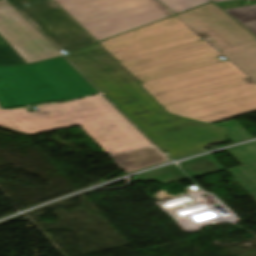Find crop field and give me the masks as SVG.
<instances>
[{
	"mask_svg": "<svg viewBox=\"0 0 256 256\" xmlns=\"http://www.w3.org/2000/svg\"><path fill=\"white\" fill-rule=\"evenodd\" d=\"M214 2H219V1H226V0H213Z\"/></svg>",
	"mask_w": 256,
	"mask_h": 256,
	"instance_id": "dafd665d",
	"label": "crop field"
},
{
	"mask_svg": "<svg viewBox=\"0 0 256 256\" xmlns=\"http://www.w3.org/2000/svg\"><path fill=\"white\" fill-rule=\"evenodd\" d=\"M100 44L163 107L255 83L174 16Z\"/></svg>",
	"mask_w": 256,
	"mask_h": 256,
	"instance_id": "8a807250",
	"label": "crop field"
},
{
	"mask_svg": "<svg viewBox=\"0 0 256 256\" xmlns=\"http://www.w3.org/2000/svg\"><path fill=\"white\" fill-rule=\"evenodd\" d=\"M217 126L227 128V137L233 143L252 138L235 120Z\"/></svg>",
	"mask_w": 256,
	"mask_h": 256,
	"instance_id": "214f88e0",
	"label": "crop field"
},
{
	"mask_svg": "<svg viewBox=\"0 0 256 256\" xmlns=\"http://www.w3.org/2000/svg\"><path fill=\"white\" fill-rule=\"evenodd\" d=\"M98 41L172 14L156 0H55Z\"/></svg>",
	"mask_w": 256,
	"mask_h": 256,
	"instance_id": "412701ff",
	"label": "crop field"
},
{
	"mask_svg": "<svg viewBox=\"0 0 256 256\" xmlns=\"http://www.w3.org/2000/svg\"><path fill=\"white\" fill-rule=\"evenodd\" d=\"M228 172L256 200V164L229 170Z\"/></svg>",
	"mask_w": 256,
	"mask_h": 256,
	"instance_id": "5142ce71",
	"label": "crop field"
},
{
	"mask_svg": "<svg viewBox=\"0 0 256 256\" xmlns=\"http://www.w3.org/2000/svg\"><path fill=\"white\" fill-rule=\"evenodd\" d=\"M173 114L212 123L256 112V84L165 107Z\"/></svg>",
	"mask_w": 256,
	"mask_h": 256,
	"instance_id": "dd49c442",
	"label": "crop field"
},
{
	"mask_svg": "<svg viewBox=\"0 0 256 256\" xmlns=\"http://www.w3.org/2000/svg\"><path fill=\"white\" fill-rule=\"evenodd\" d=\"M242 166L256 163V143L227 150Z\"/></svg>",
	"mask_w": 256,
	"mask_h": 256,
	"instance_id": "4a817a6b",
	"label": "crop field"
},
{
	"mask_svg": "<svg viewBox=\"0 0 256 256\" xmlns=\"http://www.w3.org/2000/svg\"><path fill=\"white\" fill-rule=\"evenodd\" d=\"M64 101L100 93L64 57L31 64Z\"/></svg>",
	"mask_w": 256,
	"mask_h": 256,
	"instance_id": "3316defc",
	"label": "crop field"
},
{
	"mask_svg": "<svg viewBox=\"0 0 256 256\" xmlns=\"http://www.w3.org/2000/svg\"><path fill=\"white\" fill-rule=\"evenodd\" d=\"M56 48L68 52L98 42L54 0H8Z\"/></svg>",
	"mask_w": 256,
	"mask_h": 256,
	"instance_id": "f4fd0767",
	"label": "crop field"
},
{
	"mask_svg": "<svg viewBox=\"0 0 256 256\" xmlns=\"http://www.w3.org/2000/svg\"><path fill=\"white\" fill-rule=\"evenodd\" d=\"M157 146L175 159L223 143L226 128L169 114L99 43L66 56Z\"/></svg>",
	"mask_w": 256,
	"mask_h": 256,
	"instance_id": "ac0d7876",
	"label": "crop field"
},
{
	"mask_svg": "<svg viewBox=\"0 0 256 256\" xmlns=\"http://www.w3.org/2000/svg\"><path fill=\"white\" fill-rule=\"evenodd\" d=\"M180 166L191 178L225 170L211 155L182 162Z\"/></svg>",
	"mask_w": 256,
	"mask_h": 256,
	"instance_id": "22f410ed",
	"label": "crop field"
},
{
	"mask_svg": "<svg viewBox=\"0 0 256 256\" xmlns=\"http://www.w3.org/2000/svg\"><path fill=\"white\" fill-rule=\"evenodd\" d=\"M0 126L6 127V128H10V129H12L13 127H15L14 125L5 124V123H1V122H0Z\"/></svg>",
	"mask_w": 256,
	"mask_h": 256,
	"instance_id": "92a150f3",
	"label": "crop field"
},
{
	"mask_svg": "<svg viewBox=\"0 0 256 256\" xmlns=\"http://www.w3.org/2000/svg\"><path fill=\"white\" fill-rule=\"evenodd\" d=\"M28 63L22 55L0 33V65Z\"/></svg>",
	"mask_w": 256,
	"mask_h": 256,
	"instance_id": "733c2abd",
	"label": "crop field"
},
{
	"mask_svg": "<svg viewBox=\"0 0 256 256\" xmlns=\"http://www.w3.org/2000/svg\"><path fill=\"white\" fill-rule=\"evenodd\" d=\"M0 32L29 63L61 55L5 1L0 2Z\"/></svg>",
	"mask_w": 256,
	"mask_h": 256,
	"instance_id": "5a996713",
	"label": "crop field"
},
{
	"mask_svg": "<svg viewBox=\"0 0 256 256\" xmlns=\"http://www.w3.org/2000/svg\"><path fill=\"white\" fill-rule=\"evenodd\" d=\"M202 37H211L218 49H226L256 41V37L235 22L214 3L178 15Z\"/></svg>",
	"mask_w": 256,
	"mask_h": 256,
	"instance_id": "d8731c3e",
	"label": "crop field"
},
{
	"mask_svg": "<svg viewBox=\"0 0 256 256\" xmlns=\"http://www.w3.org/2000/svg\"><path fill=\"white\" fill-rule=\"evenodd\" d=\"M175 14L211 2V0H160Z\"/></svg>",
	"mask_w": 256,
	"mask_h": 256,
	"instance_id": "bc2a9ffb",
	"label": "crop field"
},
{
	"mask_svg": "<svg viewBox=\"0 0 256 256\" xmlns=\"http://www.w3.org/2000/svg\"><path fill=\"white\" fill-rule=\"evenodd\" d=\"M220 52L256 80V42Z\"/></svg>",
	"mask_w": 256,
	"mask_h": 256,
	"instance_id": "d1516ede",
	"label": "crop field"
},
{
	"mask_svg": "<svg viewBox=\"0 0 256 256\" xmlns=\"http://www.w3.org/2000/svg\"><path fill=\"white\" fill-rule=\"evenodd\" d=\"M31 65L0 66V106H19L60 101L62 98Z\"/></svg>",
	"mask_w": 256,
	"mask_h": 256,
	"instance_id": "e52e79f7",
	"label": "crop field"
},
{
	"mask_svg": "<svg viewBox=\"0 0 256 256\" xmlns=\"http://www.w3.org/2000/svg\"><path fill=\"white\" fill-rule=\"evenodd\" d=\"M225 11L256 35V5L227 9Z\"/></svg>",
	"mask_w": 256,
	"mask_h": 256,
	"instance_id": "d9b57169",
	"label": "crop field"
},
{
	"mask_svg": "<svg viewBox=\"0 0 256 256\" xmlns=\"http://www.w3.org/2000/svg\"><path fill=\"white\" fill-rule=\"evenodd\" d=\"M188 177L184 175L175 165L142 174L134 178V181H150L155 180L161 184L187 180Z\"/></svg>",
	"mask_w": 256,
	"mask_h": 256,
	"instance_id": "cbeb9de0",
	"label": "crop field"
},
{
	"mask_svg": "<svg viewBox=\"0 0 256 256\" xmlns=\"http://www.w3.org/2000/svg\"><path fill=\"white\" fill-rule=\"evenodd\" d=\"M37 107L0 111V121L27 134L79 125L108 155L152 144L103 95Z\"/></svg>",
	"mask_w": 256,
	"mask_h": 256,
	"instance_id": "34b2d1b8",
	"label": "crop field"
},
{
	"mask_svg": "<svg viewBox=\"0 0 256 256\" xmlns=\"http://www.w3.org/2000/svg\"><path fill=\"white\" fill-rule=\"evenodd\" d=\"M110 157L127 174L169 161L154 145L111 155Z\"/></svg>",
	"mask_w": 256,
	"mask_h": 256,
	"instance_id": "28ad6ade",
	"label": "crop field"
}]
</instances>
